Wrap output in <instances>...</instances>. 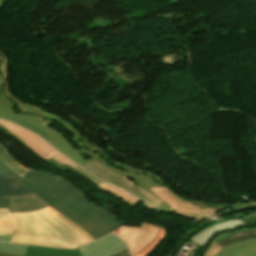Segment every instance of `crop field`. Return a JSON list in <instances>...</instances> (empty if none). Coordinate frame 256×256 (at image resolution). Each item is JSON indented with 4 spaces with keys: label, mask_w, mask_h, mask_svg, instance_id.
Instances as JSON below:
<instances>
[{
    "label": "crop field",
    "mask_w": 256,
    "mask_h": 256,
    "mask_svg": "<svg viewBox=\"0 0 256 256\" xmlns=\"http://www.w3.org/2000/svg\"><path fill=\"white\" fill-rule=\"evenodd\" d=\"M3 85H0V116L6 118L20 126L28 128L35 133L42 136L47 142L57 148L61 153L66 155L68 158L74 160L79 165H84L90 160H95L101 165L105 166L109 170L118 173L122 176L129 178L136 186L145 190L146 192L157 197L149 188L156 186H163L161 184H151L153 181L148 176L141 175L140 177L132 172L127 170L119 169L111 164L108 161L103 160L102 154L100 152H93L91 149L86 147V143L82 142L81 139L77 137L76 134L70 133L64 135L61 132L54 130L56 123L46 121L41 116L36 114H20L16 111L14 107L18 105L12 102V99L7 98L2 89ZM160 199L159 197H157ZM161 200V199H160ZM168 206L165 202L159 204L155 209L166 212L169 214Z\"/></svg>",
    "instance_id": "crop-field-1"
},
{
    "label": "crop field",
    "mask_w": 256,
    "mask_h": 256,
    "mask_svg": "<svg viewBox=\"0 0 256 256\" xmlns=\"http://www.w3.org/2000/svg\"><path fill=\"white\" fill-rule=\"evenodd\" d=\"M0 125L4 127L2 128V132L22 142L24 145H26L29 149L34 151L40 157L44 158L50 164L58 167L64 172L67 173L69 171H73L81 175L82 177L92 182L94 185L98 186V189L119 197L124 202H126L132 209H134V205L140 203L138 200L132 198L127 193L99 181L98 179L90 175L88 172L80 168L78 165L67 159L65 156L59 154L37 135L2 119H0Z\"/></svg>",
    "instance_id": "crop-field-2"
},
{
    "label": "crop field",
    "mask_w": 256,
    "mask_h": 256,
    "mask_svg": "<svg viewBox=\"0 0 256 256\" xmlns=\"http://www.w3.org/2000/svg\"><path fill=\"white\" fill-rule=\"evenodd\" d=\"M23 178L52 196L92 215L102 222L111 232L122 224L110 212L84 199V195L77 188L60 177L29 170Z\"/></svg>",
    "instance_id": "crop-field-3"
},
{
    "label": "crop field",
    "mask_w": 256,
    "mask_h": 256,
    "mask_svg": "<svg viewBox=\"0 0 256 256\" xmlns=\"http://www.w3.org/2000/svg\"><path fill=\"white\" fill-rule=\"evenodd\" d=\"M10 214L13 242L57 248H73L30 212Z\"/></svg>",
    "instance_id": "crop-field-4"
},
{
    "label": "crop field",
    "mask_w": 256,
    "mask_h": 256,
    "mask_svg": "<svg viewBox=\"0 0 256 256\" xmlns=\"http://www.w3.org/2000/svg\"><path fill=\"white\" fill-rule=\"evenodd\" d=\"M8 178L21 185L22 187L26 188L30 192L36 194L38 197L48 203L50 205L49 207L55 209L63 216L68 218L70 221H72L74 224L82 228L95 240L110 233V231L102 223H100L92 216L55 199L54 197L38 189L31 183L23 179L19 180L13 176H9Z\"/></svg>",
    "instance_id": "crop-field-5"
},
{
    "label": "crop field",
    "mask_w": 256,
    "mask_h": 256,
    "mask_svg": "<svg viewBox=\"0 0 256 256\" xmlns=\"http://www.w3.org/2000/svg\"><path fill=\"white\" fill-rule=\"evenodd\" d=\"M31 213L42 220L74 248H78L90 241H94V239L86 232L49 207Z\"/></svg>",
    "instance_id": "crop-field-6"
},
{
    "label": "crop field",
    "mask_w": 256,
    "mask_h": 256,
    "mask_svg": "<svg viewBox=\"0 0 256 256\" xmlns=\"http://www.w3.org/2000/svg\"><path fill=\"white\" fill-rule=\"evenodd\" d=\"M82 167L94 174L95 176L99 177L100 179L122 188L126 192L134 195L137 199L153 208L157 206L160 202H162L157 198L153 197L152 195L141 190L140 188L136 187L130 180L109 171L108 169L93 160Z\"/></svg>",
    "instance_id": "crop-field-7"
},
{
    "label": "crop field",
    "mask_w": 256,
    "mask_h": 256,
    "mask_svg": "<svg viewBox=\"0 0 256 256\" xmlns=\"http://www.w3.org/2000/svg\"><path fill=\"white\" fill-rule=\"evenodd\" d=\"M150 189L163 201L172 206L169 209V212L176 213L185 218L201 220L203 218L211 217L212 215L221 210H215L214 208H204V210H202L199 208L201 204H198V206H194V202L188 201L186 199L182 201V199L178 198L166 187H157Z\"/></svg>",
    "instance_id": "crop-field-8"
},
{
    "label": "crop field",
    "mask_w": 256,
    "mask_h": 256,
    "mask_svg": "<svg viewBox=\"0 0 256 256\" xmlns=\"http://www.w3.org/2000/svg\"><path fill=\"white\" fill-rule=\"evenodd\" d=\"M79 251L83 256H130L124 241L113 234L81 247Z\"/></svg>",
    "instance_id": "crop-field-9"
},
{
    "label": "crop field",
    "mask_w": 256,
    "mask_h": 256,
    "mask_svg": "<svg viewBox=\"0 0 256 256\" xmlns=\"http://www.w3.org/2000/svg\"><path fill=\"white\" fill-rule=\"evenodd\" d=\"M158 229L157 226L142 223L141 228L122 226L114 233L128 242L132 254L135 255L152 242Z\"/></svg>",
    "instance_id": "crop-field-10"
},
{
    "label": "crop field",
    "mask_w": 256,
    "mask_h": 256,
    "mask_svg": "<svg viewBox=\"0 0 256 256\" xmlns=\"http://www.w3.org/2000/svg\"><path fill=\"white\" fill-rule=\"evenodd\" d=\"M32 112H34L36 114H39V115H42L44 117V119H46V120H50V121H53V122H56V123L64 124L68 131L77 133L79 138H81L83 141L87 142L85 139H83L84 137L83 138L81 137L80 132L77 129H75L71 124H69L68 122H66L65 120L60 118L59 116L48 113V112H45V111H32ZM32 112H29V113H32ZM87 143H88L87 147L91 148L93 151H101L102 154L104 155L103 158L110 161V163H112L113 165H116V166H118L120 168H123V169L130 170V171L135 172V173H138L139 175L141 173H143L144 175H149L155 181V182H152V183L160 182L161 184L165 185L161 177H159V176H157V175H155V174H153L149 171L143 170V169H139V168H136V167H133V166H129V165H126V164L115 162L110 157H108L100 148L90 144L89 142H87Z\"/></svg>",
    "instance_id": "crop-field-11"
},
{
    "label": "crop field",
    "mask_w": 256,
    "mask_h": 256,
    "mask_svg": "<svg viewBox=\"0 0 256 256\" xmlns=\"http://www.w3.org/2000/svg\"><path fill=\"white\" fill-rule=\"evenodd\" d=\"M204 256H256V239L240 241L224 249L212 241Z\"/></svg>",
    "instance_id": "crop-field-12"
},
{
    "label": "crop field",
    "mask_w": 256,
    "mask_h": 256,
    "mask_svg": "<svg viewBox=\"0 0 256 256\" xmlns=\"http://www.w3.org/2000/svg\"><path fill=\"white\" fill-rule=\"evenodd\" d=\"M10 203V212H27L34 211L46 206L45 202H43L37 196L30 194L24 196H11L9 197Z\"/></svg>",
    "instance_id": "crop-field-13"
},
{
    "label": "crop field",
    "mask_w": 256,
    "mask_h": 256,
    "mask_svg": "<svg viewBox=\"0 0 256 256\" xmlns=\"http://www.w3.org/2000/svg\"><path fill=\"white\" fill-rule=\"evenodd\" d=\"M240 225H243L242 220H233V221L218 223L213 226H210L207 229L201 230L194 237H192L189 241H192L193 243L204 247V244L210 238V236H212L217 231H221L223 229L234 228V227L240 226Z\"/></svg>",
    "instance_id": "crop-field-14"
},
{
    "label": "crop field",
    "mask_w": 256,
    "mask_h": 256,
    "mask_svg": "<svg viewBox=\"0 0 256 256\" xmlns=\"http://www.w3.org/2000/svg\"><path fill=\"white\" fill-rule=\"evenodd\" d=\"M5 5V0H0V9ZM9 69H8V60L6 59V56L2 51H0V84H5L3 89L4 93L7 97H10L13 99L15 103H18V109H20L23 112L32 111V110H42L38 109L36 107L24 105L18 101H16L8 92L7 90V77H8Z\"/></svg>",
    "instance_id": "crop-field-15"
},
{
    "label": "crop field",
    "mask_w": 256,
    "mask_h": 256,
    "mask_svg": "<svg viewBox=\"0 0 256 256\" xmlns=\"http://www.w3.org/2000/svg\"><path fill=\"white\" fill-rule=\"evenodd\" d=\"M24 256H82L78 250H59L28 246Z\"/></svg>",
    "instance_id": "crop-field-16"
},
{
    "label": "crop field",
    "mask_w": 256,
    "mask_h": 256,
    "mask_svg": "<svg viewBox=\"0 0 256 256\" xmlns=\"http://www.w3.org/2000/svg\"><path fill=\"white\" fill-rule=\"evenodd\" d=\"M30 192L6 177H0V196L23 195Z\"/></svg>",
    "instance_id": "crop-field-17"
},
{
    "label": "crop field",
    "mask_w": 256,
    "mask_h": 256,
    "mask_svg": "<svg viewBox=\"0 0 256 256\" xmlns=\"http://www.w3.org/2000/svg\"><path fill=\"white\" fill-rule=\"evenodd\" d=\"M0 158L20 176H24L29 170L16 162V160L0 144Z\"/></svg>",
    "instance_id": "crop-field-18"
},
{
    "label": "crop field",
    "mask_w": 256,
    "mask_h": 256,
    "mask_svg": "<svg viewBox=\"0 0 256 256\" xmlns=\"http://www.w3.org/2000/svg\"><path fill=\"white\" fill-rule=\"evenodd\" d=\"M252 238H256V231L236 234V235L227 237L223 240H220V241L216 242V244L218 246L224 248V247H227V246L231 245L232 243H234L236 241L245 240V239H252Z\"/></svg>",
    "instance_id": "crop-field-19"
},
{
    "label": "crop field",
    "mask_w": 256,
    "mask_h": 256,
    "mask_svg": "<svg viewBox=\"0 0 256 256\" xmlns=\"http://www.w3.org/2000/svg\"><path fill=\"white\" fill-rule=\"evenodd\" d=\"M27 246L15 245L0 243V253L15 254V255H24L25 249Z\"/></svg>",
    "instance_id": "crop-field-20"
},
{
    "label": "crop field",
    "mask_w": 256,
    "mask_h": 256,
    "mask_svg": "<svg viewBox=\"0 0 256 256\" xmlns=\"http://www.w3.org/2000/svg\"><path fill=\"white\" fill-rule=\"evenodd\" d=\"M166 230L163 227H160L159 232L153 242L147 246L144 250L138 253L136 256H148L156 245L165 237Z\"/></svg>",
    "instance_id": "crop-field-21"
},
{
    "label": "crop field",
    "mask_w": 256,
    "mask_h": 256,
    "mask_svg": "<svg viewBox=\"0 0 256 256\" xmlns=\"http://www.w3.org/2000/svg\"><path fill=\"white\" fill-rule=\"evenodd\" d=\"M0 235H10L8 209H0Z\"/></svg>",
    "instance_id": "crop-field-22"
},
{
    "label": "crop field",
    "mask_w": 256,
    "mask_h": 256,
    "mask_svg": "<svg viewBox=\"0 0 256 256\" xmlns=\"http://www.w3.org/2000/svg\"><path fill=\"white\" fill-rule=\"evenodd\" d=\"M253 209H256V200H248V201L242 203L237 208H235L231 211H228L224 215L234 213V212H238V211H242V210H253Z\"/></svg>",
    "instance_id": "crop-field-23"
},
{
    "label": "crop field",
    "mask_w": 256,
    "mask_h": 256,
    "mask_svg": "<svg viewBox=\"0 0 256 256\" xmlns=\"http://www.w3.org/2000/svg\"><path fill=\"white\" fill-rule=\"evenodd\" d=\"M13 175L19 179L20 177L18 174H16L12 169H10L1 159H0V176H9Z\"/></svg>",
    "instance_id": "crop-field-24"
},
{
    "label": "crop field",
    "mask_w": 256,
    "mask_h": 256,
    "mask_svg": "<svg viewBox=\"0 0 256 256\" xmlns=\"http://www.w3.org/2000/svg\"><path fill=\"white\" fill-rule=\"evenodd\" d=\"M177 196H179V195H177ZM179 197H181L182 199L183 198H185V197H182V196H179ZM188 199V198H187ZM184 200V199H183ZM189 200H191V199H189ZM192 201H195V200H192ZM198 203H202V206H201V208L203 209V207H215L216 209H220V208H225V207H227V206H229V205H227V204H216V203H204V202H199V201H195V204L194 205H197ZM224 210V209H223Z\"/></svg>",
    "instance_id": "crop-field-25"
},
{
    "label": "crop field",
    "mask_w": 256,
    "mask_h": 256,
    "mask_svg": "<svg viewBox=\"0 0 256 256\" xmlns=\"http://www.w3.org/2000/svg\"><path fill=\"white\" fill-rule=\"evenodd\" d=\"M251 230H256V228H251V229H246V230H244V229L235 230V231H232L231 233H222V234L217 235V237L213 241L216 242V241L223 239L227 236H230V235H233L236 233H240V232L251 231Z\"/></svg>",
    "instance_id": "crop-field-26"
},
{
    "label": "crop field",
    "mask_w": 256,
    "mask_h": 256,
    "mask_svg": "<svg viewBox=\"0 0 256 256\" xmlns=\"http://www.w3.org/2000/svg\"><path fill=\"white\" fill-rule=\"evenodd\" d=\"M0 208H8L7 197H0Z\"/></svg>",
    "instance_id": "crop-field-27"
},
{
    "label": "crop field",
    "mask_w": 256,
    "mask_h": 256,
    "mask_svg": "<svg viewBox=\"0 0 256 256\" xmlns=\"http://www.w3.org/2000/svg\"><path fill=\"white\" fill-rule=\"evenodd\" d=\"M0 241L11 242L10 236H0Z\"/></svg>",
    "instance_id": "crop-field-28"
},
{
    "label": "crop field",
    "mask_w": 256,
    "mask_h": 256,
    "mask_svg": "<svg viewBox=\"0 0 256 256\" xmlns=\"http://www.w3.org/2000/svg\"><path fill=\"white\" fill-rule=\"evenodd\" d=\"M0 256H11V255H3V254H0Z\"/></svg>",
    "instance_id": "crop-field-29"
}]
</instances>
